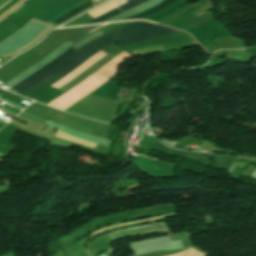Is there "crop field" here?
<instances>
[{
	"instance_id": "1",
	"label": "crop field",
	"mask_w": 256,
	"mask_h": 256,
	"mask_svg": "<svg viewBox=\"0 0 256 256\" xmlns=\"http://www.w3.org/2000/svg\"><path fill=\"white\" fill-rule=\"evenodd\" d=\"M175 32L179 31L145 21H135L130 25L120 27L82 46L56 68H52L53 70L26 85L22 90L27 91L54 74L61 78L64 77L91 55L113 44V42L123 47Z\"/></svg>"
},
{
	"instance_id": "2",
	"label": "crop field",
	"mask_w": 256,
	"mask_h": 256,
	"mask_svg": "<svg viewBox=\"0 0 256 256\" xmlns=\"http://www.w3.org/2000/svg\"><path fill=\"white\" fill-rule=\"evenodd\" d=\"M103 35V33H101L99 30L92 33L91 35H89L88 37H86L85 39H83L81 42L73 45L74 47H76L77 49L92 41L93 39L99 37ZM73 46H71L68 50H66L64 53H62L61 55H59L57 58H55L53 61H51L50 63H48L47 65H45L44 67H42L41 69H39L38 71H36L35 73H33L31 76H29L28 78L22 80L21 82H19L18 84H16L14 87H12V89L18 91L19 89H21L24 85L30 83L31 81L37 79L38 77L42 76L43 74H45L46 72L50 71L52 68H54L55 66H57L58 64H60L63 60H65L68 56H70L74 51H76L77 49H75ZM81 48V47H80ZM25 87V86H24Z\"/></svg>"
},
{
	"instance_id": "3",
	"label": "crop field",
	"mask_w": 256,
	"mask_h": 256,
	"mask_svg": "<svg viewBox=\"0 0 256 256\" xmlns=\"http://www.w3.org/2000/svg\"><path fill=\"white\" fill-rule=\"evenodd\" d=\"M152 233H167L163 223L151 225V226H144V227H137L129 230H123L111 233L110 236L113 240L121 238L123 236H135V235H144V234H152Z\"/></svg>"
},
{
	"instance_id": "4",
	"label": "crop field",
	"mask_w": 256,
	"mask_h": 256,
	"mask_svg": "<svg viewBox=\"0 0 256 256\" xmlns=\"http://www.w3.org/2000/svg\"><path fill=\"white\" fill-rule=\"evenodd\" d=\"M176 0H164L163 2H161L159 5L151 8V9H148L146 11H143L141 13H138L134 16H131L129 18H126L124 20H130V19H142L144 17H147L149 15H152L156 12H159L163 9H165L166 7H168L169 5H171L173 2H175Z\"/></svg>"
},
{
	"instance_id": "5",
	"label": "crop field",
	"mask_w": 256,
	"mask_h": 256,
	"mask_svg": "<svg viewBox=\"0 0 256 256\" xmlns=\"http://www.w3.org/2000/svg\"><path fill=\"white\" fill-rule=\"evenodd\" d=\"M91 5H90V2H86L84 3L83 5L79 6L78 8L74 9L73 11L67 13L66 15L62 16L61 18L57 19L56 21H54V23H62L66 20H68L69 18L75 16L76 14L84 11L85 9L89 8Z\"/></svg>"
},
{
	"instance_id": "6",
	"label": "crop field",
	"mask_w": 256,
	"mask_h": 256,
	"mask_svg": "<svg viewBox=\"0 0 256 256\" xmlns=\"http://www.w3.org/2000/svg\"><path fill=\"white\" fill-rule=\"evenodd\" d=\"M120 13H122V11H120L118 8H116V9H114V10H112V11H110V12H108V13H106V14H104V15L96 18V19H94V20H91V21L85 23V24L100 23V22H102V21H104V20H106V19H108V18H110L114 15L120 14ZM85 24H83V25H85Z\"/></svg>"
},
{
	"instance_id": "7",
	"label": "crop field",
	"mask_w": 256,
	"mask_h": 256,
	"mask_svg": "<svg viewBox=\"0 0 256 256\" xmlns=\"http://www.w3.org/2000/svg\"><path fill=\"white\" fill-rule=\"evenodd\" d=\"M100 25H101V24H100ZM104 25H105V24H104ZM107 25H109V24H107ZM107 25H105V26H107ZM97 26H99V25H95V26H93V27H91V28H89V29H87V30H85V31H83V32H80V33L76 34L75 36H73L72 38H70L69 40H67V42L70 43V42L72 41V42H73V43L71 42L72 44L76 43L77 41H79V40L85 38L86 36H88L89 34H91V33H92L91 31H90L91 33L88 32L89 34H87L86 32L89 31V30H91V29H93V28H95V27H97ZM102 26H103V25H102ZM105 26H103V27H105ZM100 27H101V26H100ZM103 27H101V28H103ZM98 28H99V27H98ZM101 28H99V29H101ZM96 29H97V28H96ZM94 30H95V29H94ZM92 31H93V30H92ZM93 32H94V31H93ZM71 43H70V44H71ZM72 44H71V45H72Z\"/></svg>"
},
{
	"instance_id": "8",
	"label": "crop field",
	"mask_w": 256,
	"mask_h": 256,
	"mask_svg": "<svg viewBox=\"0 0 256 256\" xmlns=\"http://www.w3.org/2000/svg\"><path fill=\"white\" fill-rule=\"evenodd\" d=\"M145 1H147V0H133L131 2H128V3L118 7V8L121 9L123 12H125V11L145 2Z\"/></svg>"
},
{
	"instance_id": "9",
	"label": "crop field",
	"mask_w": 256,
	"mask_h": 256,
	"mask_svg": "<svg viewBox=\"0 0 256 256\" xmlns=\"http://www.w3.org/2000/svg\"><path fill=\"white\" fill-rule=\"evenodd\" d=\"M92 2V4L95 6L97 4H99L100 2L104 1V0H90Z\"/></svg>"
},
{
	"instance_id": "10",
	"label": "crop field",
	"mask_w": 256,
	"mask_h": 256,
	"mask_svg": "<svg viewBox=\"0 0 256 256\" xmlns=\"http://www.w3.org/2000/svg\"><path fill=\"white\" fill-rule=\"evenodd\" d=\"M10 0H8V1H6L2 6H4L7 2H9ZM2 6H0V8L2 7Z\"/></svg>"
},
{
	"instance_id": "11",
	"label": "crop field",
	"mask_w": 256,
	"mask_h": 256,
	"mask_svg": "<svg viewBox=\"0 0 256 256\" xmlns=\"http://www.w3.org/2000/svg\"><path fill=\"white\" fill-rule=\"evenodd\" d=\"M12 105V104H11ZM14 106V105H13Z\"/></svg>"
},
{
	"instance_id": "12",
	"label": "crop field",
	"mask_w": 256,
	"mask_h": 256,
	"mask_svg": "<svg viewBox=\"0 0 256 256\" xmlns=\"http://www.w3.org/2000/svg\"><path fill=\"white\" fill-rule=\"evenodd\" d=\"M128 1H130V0H128Z\"/></svg>"
}]
</instances>
